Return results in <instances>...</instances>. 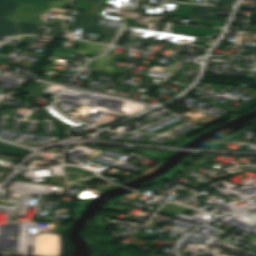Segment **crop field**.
<instances>
[{"mask_svg":"<svg viewBox=\"0 0 256 256\" xmlns=\"http://www.w3.org/2000/svg\"><path fill=\"white\" fill-rule=\"evenodd\" d=\"M117 57V54L107 53L104 57L95 59L90 62L86 68L114 74H127L128 70L125 68L109 66L114 60H116Z\"/></svg>","mask_w":256,"mask_h":256,"instance_id":"obj_4","label":"crop field"},{"mask_svg":"<svg viewBox=\"0 0 256 256\" xmlns=\"http://www.w3.org/2000/svg\"><path fill=\"white\" fill-rule=\"evenodd\" d=\"M19 3L0 0V36L35 34L40 24L7 20Z\"/></svg>","mask_w":256,"mask_h":256,"instance_id":"obj_1","label":"crop field"},{"mask_svg":"<svg viewBox=\"0 0 256 256\" xmlns=\"http://www.w3.org/2000/svg\"><path fill=\"white\" fill-rule=\"evenodd\" d=\"M72 0H63L62 2H58V1H50L49 6L50 7H56V8H60L63 9L65 3H71Z\"/></svg>","mask_w":256,"mask_h":256,"instance_id":"obj_9","label":"crop field"},{"mask_svg":"<svg viewBox=\"0 0 256 256\" xmlns=\"http://www.w3.org/2000/svg\"><path fill=\"white\" fill-rule=\"evenodd\" d=\"M64 32L62 31H55L51 30V32L48 34V36H61Z\"/></svg>","mask_w":256,"mask_h":256,"instance_id":"obj_13","label":"crop field"},{"mask_svg":"<svg viewBox=\"0 0 256 256\" xmlns=\"http://www.w3.org/2000/svg\"><path fill=\"white\" fill-rule=\"evenodd\" d=\"M53 29L65 31L64 27H63V24H62V22L60 20H57V22L54 25Z\"/></svg>","mask_w":256,"mask_h":256,"instance_id":"obj_11","label":"crop field"},{"mask_svg":"<svg viewBox=\"0 0 256 256\" xmlns=\"http://www.w3.org/2000/svg\"><path fill=\"white\" fill-rule=\"evenodd\" d=\"M84 1L95 3L97 0H84Z\"/></svg>","mask_w":256,"mask_h":256,"instance_id":"obj_14","label":"crop field"},{"mask_svg":"<svg viewBox=\"0 0 256 256\" xmlns=\"http://www.w3.org/2000/svg\"><path fill=\"white\" fill-rule=\"evenodd\" d=\"M234 0H221L219 5L232 6Z\"/></svg>","mask_w":256,"mask_h":256,"instance_id":"obj_12","label":"crop field"},{"mask_svg":"<svg viewBox=\"0 0 256 256\" xmlns=\"http://www.w3.org/2000/svg\"><path fill=\"white\" fill-rule=\"evenodd\" d=\"M216 7L199 5L191 18L227 22L228 18L206 15L207 12H214Z\"/></svg>","mask_w":256,"mask_h":256,"instance_id":"obj_5","label":"crop field"},{"mask_svg":"<svg viewBox=\"0 0 256 256\" xmlns=\"http://www.w3.org/2000/svg\"><path fill=\"white\" fill-rule=\"evenodd\" d=\"M12 1L48 6L46 0H12Z\"/></svg>","mask_w":256,"mask_h":256,"instance_id":"obj_10","label":"crop field"},{"mask_svg":"<svg viewBox=\"0 0 256 256\" xmlns=\"http://www.w3.org/2000/svg\"><path fill=\"white\" fill-rule=\"evenodd\" d=\"M254 105H256V97L250 99L249 101H247V102H245V103H243V104H241V105H239V106H237V107H235L231 110H233L235 112H239V111L246 110V109H248V108H250Z\"/></svg>","mask_w":256,"mask_h":256,"instance_id":"obj_8","label":"crop field"},{"mask_svg":"<svg viewBox=\"0 0 256 256\" xmlns=\"http://www.w3.org/2000/svg\"><path fill=\"white\" fill-rule=\"evenodd\" d=\"M132 150L140 154H143L153 160L159 158L162 154L165 153L164 151H155V150H142V149H132Z\"/></svg>","mask_w":256,"mask_h":256,"instance_id":"obj_7","label":"crop field"},{"mask_svg":"<svg viewBox=\"0 0 256 256\" xmlns=\"http://www.w3.org/2000/svg\"><path fill=\"white\" fill-rule=\"evenodd\" d=\"M76 42L81 43L80 48L78 49L58 48L57 50L54 51L52 56L65 58L69 52L83 54V55L97 56L102 54L108 48V46H105V45L86 43V42H80V41H76ZM62 51H65V53H63Z\"/></svg>","mask_w":256,"mask_h":256,"instance_id":"obj_3","label":"crop field"},{"mask_svg":"<svg viewBox=\"0 0 256 256\" xmlns=\"http://www.w3.org/2000/svg\"><path fill=\"white\" fill-rule=\"evenodd\" d=\"M97 18H98L97 16H92V15H86V14L81 15L79 17V21H78L76 27L69 30V33L71 34L72 32H76L77 29L79 27H81V28H84L82 30L83 32L104 35L103 38L100 40V42L111 44L114 37L116 36L118 30L92 25L96 21Z\"/></svg>","mask_w":256,"mask_h":256,"instance_id":"obj_2","label":"crop field"},{"mask_svg":"<svg viewBox=\"0 0 256 256\" xmlns=\"http://www.w3.org/2000/svg\"><path fill=\"white\" fill-rule=\"evenodd\" d=\"M30 150L0 142V154L24 157Z\"/></svg>","mask_w":256,"mask_h":256,"instance_id":"obj_6","label":"crop field"}]
</instances>
